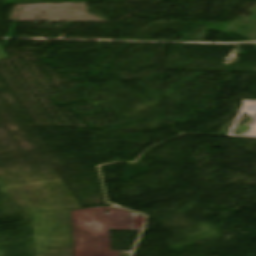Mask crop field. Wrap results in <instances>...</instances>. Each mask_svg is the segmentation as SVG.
<instances>
[{"label": "crop field", "instance_id": "8a807250", "mask_svg": "<svg viewBox=\"0 0 256 256\" xmlns=\"http://www.w3.org/2000/svg\"><path fill=\"white\" fill-rule=\"evenodd\" d=\"M8 58L7 55L4 53V51L0 47V59H6Z\"/></svg>", "mask_w": 256, "mask_h": 256}]
</instances>
